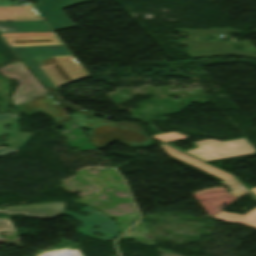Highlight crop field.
<instances>
[{
  "label": "crop field",
  "instance_id": "d1516ede",
  "mask_svg": "<svg viewBox=\"0 0 256 256\" xmlns=\"http://www.w3.org/2000/svg\"><path fill=\"white\" fill-rule=\"evenodd\" d=\"M213 217L223 221L244 224L256 228V208L252 209L244 216L222 211Z\"/></svg>",
  "mask_w": 256,
  "mask_h": 256
},
{
  "label": "crop field",
  "instance_id": "8a807250",
  "mask_svg": "<svg viewBox=\"0 0 256 256\" xmlns=\"http://www.w3.org/2000/svg\"><path fill=\"white\" fill-rule=\"evenodd\" d=\"M1 35L3 37H15L54 35V33L39 32ZM13 49L22 58V60L27 64L29 68H31V65L34 66L33 68H31L33 69V72L61 105L85 114L93 119L102 120L95 117L92 113L75 108L61 101L60 98L56 95V91L52 89L57 88L59 85L66 82L88 76L86 72L72 59L71 55L62 45L13 47ZM30 61H32V63ZM102 121L109 122L107 120ZM113 124L146 133L142 126L138 124L126 122H116Z\"/></svg>",
  "mask_w": 256,
  "mask_h": 256
},
{
  "label": "crop field",
  "instance_id": "5a996713",
  "mask_svg": "<svg viewBox=\"0 0 256 256\" xmlns=\"http://www.w3.org/2000/svg\"><path fill=\"white\" fill-rule=\"evenodd\" d=\"M6 214H24L28 217H36L43 219H52L64 211V202L59 203H47L29 207H12L4 209Z\"/></svg>",
  "mask_w": 256,
  "mask_h": 256
},
{
  "label": "crop field",
  "instance_id": "4a817a6b",
  "mask_svg": "<svg viewBox=\"0 0 256 256\" xmlns=\"http://www.w3.org/2000/svg\"><path fill=\"white\" fill-rule=\"evenodd\" d=\"M251 192H253L256 195V188L255 189H251Z\"/></svg>",
  "mask_w": 256,
  "mask_h": 256
},
{
  "label": "crop field",
  "instance_id": "e52e79f7",
  "mask_svg": "<svg viewBox=\"0 0 256 256\" xmlns=\"http://www.w3.org/2000/svg\"><path fill=\"white\" fill-rule=\"evenodd\" d=\"M161 147L164 149V151L168 155H170V156H172V157H174V158H176V159H178V160H180V161H182V162H184L186 164H189V165H191V166H193V167H195L197 169H200V170H202V171H204L206 173H209V174H211V175H213V176H215V177L225 181V182H223L221 184L228 186L232 195L240 198L243 195H245L248 192H250L246 188H244L232 176H230V175H228V174H226V173H224V172L214 168L213 166H211V165H209V164H207V163H205V162H203L201 160H198V159H196L194 157H191V156H189L187 154H184V153H182L180 151H177V150H175V149H173V148H171V147H169V146H167L165 144L161 145Z\"/></svg>",
  "mask_w": 256,
  "mask_h": 256
},
{
  "label": "crop field",
  "instance_id": "412701ff",
  "mask_svg": "<svg viewBox=\"0 0 256 256\" xmlns=\"http://www.w3.org/2000/svg\"><path fill=\"white\" fill-rule=\"evenodd\" d=\"M178 32H188L190 34L189 40H179L178 42L189 46L186 52L192 58L219 56V55H236L241 57L256 59V54L246 51L234 50L232 42L219 41L203 43L195 41L197 34H216V33H237L239 31L227 28V29H210V30H185L175 29Z\"/></svg>",
  "mask_w": 256,
  "mask_h": 256
},
{
  "label": "crop field",
  "instance_id": "ac0d7876",
  "mask_svg": "<svg viewBox=\"0 0 256 256\" xmlns=\"http://www.w3.org/2000/svg\"><path fill=\"white\" fill-rule=\"evenodd\" d=\"M0 73L6 78H13L20 83L13 92L12 100L14 105H18L17 109L28 118L35 113L42 112L51 116L55 123L69 119L65 108L58 106L50 95H46L47 91L22 62L2 67ZM39 96L42 98L33 100Z\"/></svg>",
  "mask_w": 256,
  "mask_h": 256
},
{
  "label": "crop field",
  "instance_id": "d8731c3e",
  "mask_svg": "<svg viewBox=\"0 0 256 256\" xmlns=\"http://www.w3.org/2000/svg\"><path fill=\"white\" fill-rule=\"evenodd\" d=\"M35 8L53 30L76 26L63 12L66 7L92 0H36Z\"/></svg>",
  "mask_w": 256,
  "mask_h": 256
},
{
  "label": "crop field",
  "instance_id": "5142ce71",
  "mask_svg": "<svg viewBox=\"0 0 256 256\" xmlns=\"http://www.w3.org/2000/svg\"><path fill=\"white\" fill-rule=\"evenodd\" d=\"M4 212V211H0ZM0 231L15 232L8 218H0Z\"/></svg>",
  "mask_w": 256,
  "mask_h": 256
},
{
  "label": "crop field",
  "instance_id": "22f410ed",
  "mask_svg": "<svg viewBox=\"0 0 256 256\" xmlns=\"http://www.w3.org/2000/svg\"><path fill=\"white\" fill-rule=\"evenodd\" d=\"M16 60H18L16 55L11 51V49L0 37V67L5 66Z\"/></svg>",
  "mask_w": 256,
  "mask_h": 256
},
{
  "label": "crop field",
  "instance_id": "3316defc",
  "mask_svg": "<svg viewBox=\"0 0 256 256\" xmlns=\"http://www.w3.org/2000/svg\"><path fill=\"white\" fill-rule=\"evenodd\" d=\"M20 117L5 119L0 121V137L3 133L9 135L6 143L0 145H8L10 148L19 149L24 143L29 140L34 134L19 132L16 121ZM5 125H11L10 131H7Z\"/></svg>",
  "mask_w": 256,
  "mask_h": 256
},
{
  "label": "crop field",
  "instance_id": "28ad6ade",
  "mask_svg": "<svg viewBox=\"0 0 256 256\" xmlns=\"http://www.w3.org/2000/svg\"><path fill=\"white\" fill-rule=\"evenodd\" d=\"M51 31L44 21L0 22V32Z\"/></svg>",
  "mask_w": 256,
  "mask_h": 256
},
{
  "label": "crop field",
  "instance_id": "34b2d1b8",
  "mask_svg": "<svg viewBox=\"0 0 256 256\" xmlns=\"http://www.w3.org/2000/svg\"><path fill=\"white\" fill-rule=\"evenodd\" d=\"M70 117L77 126L90 129L86 134L96 148H103L115 140L132 147L149 138L132 130L107 125L93 119L87 120L77 113Z\"/></svg>",
  "mask_w": 256,
  "mask_h": 256
},
{
  "label": "crop field",
  "instance_id": "d9b57169",
  "mask_svg": "<svg viewBox=\"0 0 256 256\" xmlns=\"http://www.w3.org/2000/svg\"><path fill=\"white\" fill-rule=\"evenodd\" d=\"M17 152L16 150L9 149V148H2L0 147V157L6 156L11 153Z\"/></svg>",
  "mask_w": 256,
  "mask_h": 256
},
{
  "label": "crop field",
  "instance_id": "f4fd0767",
  "mask_svg": "<svg viewBox=\"0 0 256 256\" xmlns=\"http://www.w3.org/2000/svg\"><path fill=\"white\" fill-rule=\"evenodd\" d=\"M195 144L199 148L186 151V153L204 161L234 157L255 152L245 138L225 142L206 140L195 142Z\"/></svg>",
  "mask_w": 256,
  "mask_h": 256
},
{
  "label": "crop field",
  "instance_id": "cbeb9de0",
  "mask_svg": "<svg viewBox=\"0 0 256 256\" xmlns=\"http://www.w3.org/2000/svg\"><path fill=\"white\" fill-rule=\"evenodd\" d=\"M159 140H161L162 142H166V141H171V140H176V139H181V138H186L184 136H181L175 132L172 133H167V134H162V135H158V136H153Z\"/></svg>",
  "mask_w": 256,
  "mask_h": 256
},
{
  "label": "crop field",
  "instance_id": "733c2abd",
  "mask_svg": "<svg viewBox=\"0 0 256 256\" xmlns=\"http://www.w3.org/2000/svg\"><path fill=\"white\" fill-rule=\"evenodd\" d=\"M17 115H13V114H6V115H1L0 119H5V118H10V117H15Z\"/></svg>",
  "mask_w": 256,
  "mask_h": 256
},
{
  "label": "crop field",
  "instance_id": "dd49c442",
  "mask_svg": "<svg viewBox=\"0 0 256 256\" xmlns=\"http://www.w3.org/2000/svg\"><path fill=\"white\" fill-rule=\"evenodd\" d=\"M81 211L89 213V215L84 217L81 215L73 214L69 211H64V214L74 217L76 220L82 222L83 226L77 229L79 233L104 241H107L117 235L118 227L113 223L111 219L89 206L81 209ZM95 226L99 228L96 229L94 228ZM95 232L101 233L105 236L98 237L92 235Z\"/></svg>",
  "mask_w": 256,
  "mask_h": 256
}]
</instances>
